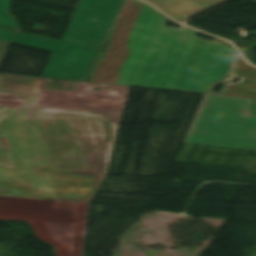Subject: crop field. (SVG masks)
Wrapping results in <instances>:
<instances>
[{"instance_id":"8a807250","label":"crop field","mask_w":256,"mask_h":256,"mask_svg":"<svg viewBox=\"0 0 256 256\" xmlns=\"http://www.w3.org/2000/svg\"><path fill=\"white\" fill-rule=\"evenodd\" d=\"M159 11L139 0H124L105 40L110 41L91 82L218 95L238 55L196 30L166 27Z\"/></svg>"},{"instance_id":"ac0d7876","label":"crop field","mask_w":256,"mask_h":256,"mask_svg":"<svg viewBox=\"0 0 256 256\" xmlns=\"http://www.w3.org/2000/svg\"><path fill=\"white\" fill-rule=\"evenodd\" d=\"M39 89L0 85V104L16 106L22 128L15 132L26 168L16 169L47 200L84 199L89 202L103 174L52 171L34 114Z\"/></svg>"},{"instance_id":"34b2d1b8","label":"crop field","mask_w":256,"mask_h":256,"mask_svg":"<svg viewBox=\"0 0 256 256\" xmlns=\"http://www.w3.org/2000/svg\"><path fill=\"white\" fill-rule=\"evenodd\" d=\"M120 2L81 0L62 41L19 32L14 43L53 53L42 77L83 81Z\"/></svg>"},{"instance_id":"412701ff","label":"crop field","mask_w":256,"mask_h":256,"mask_svg":"<svg viewBox=\"0 0 256 256\" xmlns=\"http://www.w3.org/2000/svg\"><path fill=\"white\" fill-rule=\"evenodd\" d=\"M250 101L205 95L184 143L256 151V117L244 116Z\"/></svg>"},{"instance_id":"f4fd0767","label":"crop field","mask_w":256,"mask_h":256,"mask_svg":"<svg viewBox=\"0 0 256 256\" xmlns=\"http://www.w3.org/2000/svg\"><path fill=\"white\" fill-rule=\"evenodd\" d=\"M114 135L43 140L53 170L103 173Z\"/></svg>"},{"instance_id":"dd49c442","label":"crop field","mask_w":256,"mask_h":256,"mask_svg":"<svg viewBox=\"0 0 256 256\" xmlns=\"http://www.w3.org/2000/svg\"><path fill=\"white\" fill-rule=\"evenodd\" d=\"M43 138L112 134L109 118L101 112L36 105Z\"/></svg>"},{"instance_id":"e52e79f7","label":"crop field","mask_w":256,"mask_h":256,"mask_svg":"<svg viewBox=\"0 0 256 256\" xmlns=\"http://www.w3.org/2000/svg\"><path fill=\"white\" fill-rule=\"evenodd\" d=\"M233 77L243 79L234 84H230L228 81L221 96L256 99V68L248 65L241 56H239L229 80H232Z\"/></svg>"},{"instance_id":"d8731c3e","label":"crop field","mask_w":256,"mask_h":256,"mask_svg":"<svg viewBox=\"0 0 256 256\" xmlns=\"http://www.w3.org/2000/svg\"><path fill=\"white\" fill-rule=\"evenodd\" d=\"M0 197L46 200L16 170L0 169Z\"/></svg>"},{"instance_id":"5a996713","label":"crop field","mask_w":256,"mask_h":256,"mask_svg":"<svg viewBox=\"0 0 256 256\" xmlns=\"http://www.w3.org/2000/svg\"><path fill=\"white\" fill-rule=\"evenodd\" d=\"M228 0H184L159 7L172 18L184 23L191 17Z\"/></svg>"},{"instance_id":"3316defc","label":"crop field","mask_w":256,"mask_h":256,"mask_svg":"<svg viewBox=\"0 0 256 256\" xmlns=\"http://www.w3.org/2000/svg\"><path fill=\"white\" fill-rule=\"evenodd\" d=\"M45 79L0 74V84L41 88Z\"/></svg>"},{"instance_id":"28ad6ade","label":"crop field","mask_w":256,"mask_h":256,"mask_svg":"<svg viewBox=\"0 0 256 256\" xmlns=\"http://www.w3.org/2000/svg\"><path fill=\"white\" fill-rule=\"evenodd\" d=\"M11 0H0V25L20 29L18 21L11 15Z\"/></svg>"},{"instance_id":"d1516ede","label":"crop field","mask_w":256,"mask_h":256,"mask_svg":"<svg viewBox=\"0 0 256 256\" xmlns=\"http://www.w3.org/2000/svg\"><path fill=\"white\" fill-rule=\"evenodd\" d=\"M16 34V31L0 28V39L12 42L14 36Z\"/></svg>"},{"instance_id":"22f410ed","label":"crop field","mask_w":256,"mask_h":256,"mask_svg":"<svg viewBox=\"0 0 256 256\" xmlns=\"http://www.w3.org/2000/svg\"><path fill=\"white\" fill-rule=\"evenodd\" d=\"M11 44L0 41V65L9 49Z\"/></svg>"},{"instance_id":"cbeb9de0","label":"crop field","mask_w":256,"mask_h":256,"mask_svg":"<svg viewBox=\"0 0 256 256\" xmlns=\"http://www.w3.org/2000/svg\"><path fill=\"white\" fill-rule=\"evenodd\" d=\"M246 115H248V116H256V100H252L251 101Z\"/></svg>"},{"instance_id":"5142ce71","label":"crop field","mask_w":256,"mask_h":256,"mask_svg":"<svg viewBox=\"0 0 256 256\" xmlns=\"http://www.w3.org/2000/svg\"><path fill=\"white\" fill-rule=\"evenodd\" d=\"M196 35L198 37H201V38H204V39H208V40H220V41H223L221 39H218V38H215L213 36H210V35H207V34H203V33H200V32H197ZM223 42H225V41H223ZM225 43H227V42H225Z\"/></svg>"}]
</instances>
